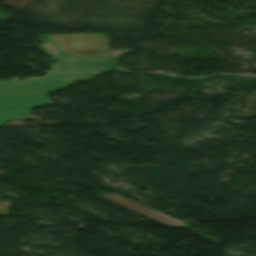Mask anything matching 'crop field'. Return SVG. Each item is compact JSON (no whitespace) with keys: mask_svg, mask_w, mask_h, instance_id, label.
I'll use <instances>...</instances> for the list:
<instances>
[{"mask_svg":"<svg viewBox=\"0 0 256 256\" xmlns=\"http://www.w3.org/2000/svg\"><path fill=\"white\" fill-rule=\"evenodd\" d=\"M101 73H59L60 81H10L0 80V96L47 95L57 89H66L77 81L89 82Z\"/></svg>","mask_w":256,"mask_h":256,"instance_id":"1","label":"crop field"},{"mask_svg":"<svg viewBox=\"0 0 256 256\" xmlns=\"http://www.w3.org/2000/svg\"><path fill=\"white\" fill-rule=\"evenodd\" d=\"M42 37L49 40L56 48V51L109 50L107 33L50 35Z\"/></svg>","mask_w":256,"mask_h":256,"instance_id":"2","label":"crop field"},{"mask_svg":"<svg viewBox=\"0 0 256 256\" xmlns=\"http://www.w3.org/2000/svg\"><path fill=\"white\" fill-rule=\"evenodd\" d=\"M54 104L48 96L0 97V126L10 119L30 115L33 107Z\"/></svg>","mask_w":256,"mask_h":256,"instance_id":"3","label":"crop field"},{"mask_svg":"<svg viewBox=\"0 0 256 256\" xmlns=\"http://www.w3.org/2000/svg\"><path fill=\"white\" fill-rule=\"evenodd\" d=\"M102 197H105L129 210H132L134 212H137L139 214H142L144 216H147L149 218H152L154 220H157L159 222H162L164 224H167L169 226H178L180 224H183L182 222H179L177 220H174L172 218H169L167 216H164L162 214H159L157 212H154L152 210H149L147 208H144L130 200H127L117 194H109V195H101Z\"/></svg>","mask_w":256,"mask_h":256,"instance_id":"4","label":"crop field"},{"mask_svg":"<svg viewBox=\"0 0 256 256\" xmlns=\"http://www.w3.org/2000/svg\"><path fill=\"white\" fill-rule=\"evenodd\" d=\"M1 198V197H0Z\"/></svg>","mask_w":256,"mask_h":256,"instance_id":"5","label":"crop field"}]
</instances>
